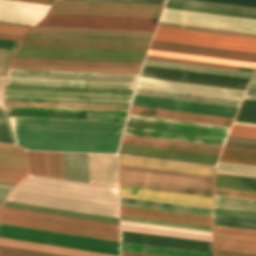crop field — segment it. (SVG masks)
Segmentation results:
<instances>
[{"label": "crop field", "mask_w": 256, "mask_h": 256, "mask_svg": "<svg viewBox=\"0 0 256 256\" xmlns=\"http://www.w3.org/2000/svg\"><path fill=\"white\" fill-rule=\"evenodd\" d=\"M5 105L67 107V108H92V109H116V110H128V108H129V107H117V106H92V105H67V104L17 103V102H5Z\"/></svg>", "instance_id": "50"}, {"label": "crop field", "mask_w": 256, "mask_h": 256, "mask_svg": "<svg viewBox=\"0 0 256 256\" xmlns=\"http://www.w3.org/2000/svg\"><path fill=\"white\" fill-rule=\"evenodd\" d=\"M151 38L27 33L22 41L148 46Z\"/></svg>", "instance_id": "16"}, {"label": "crop field", "mask_w": 256, "mask_h": 256, "mask_svg": "<svg viewBox=\"0 0 256 256\" xmlns=\"http://www.w3.org/2000/svg\"><path fill=\"white\" fill-rule=\"evenodd\" d=\"M120 204L212 216V209L120 197Z\"/></svg>", "instance_id": "35"}, {"label": "crop field", "mask_w": 256, "mask_h": 256, "mask_svg": "<svg viewBox=\"0 0 256 256\" xmlns=\"http://www.w3.org/2000/svg\"><path fill=\"white\" fill-rule=\"evenodd\" d=\"M0 165L28 169L25 150L16 145L0 143Z\"/></svg>", "instance_id": "40"}, {"label": "crop field", "mask_w": 256, "mask_h": 256, "mask_svg": "<svg viewBox=\"0 0 256 256\" xmlns=\"http://www.w3.org/2000/svg\"><path fill=\"white\" fill-rule=\"evenodd\" d=\"M0 245L38 250V251H44V252H51V253H58V254H64V255H71V256H116V255H110V254L96 253V252H90V251H83V250H77V249L50 246V245L4 239V238H0Z\"/></svg>", "instance_id": "34"}, {"label": "crop field", "mask_w": 256, "mask_h": 256, "mask_svg": "<svg viewBox=\"0 0 256 256\" xmlns=\"http://www.w3.org/2000/svg\"><path fill=\"white\" fill-rule=\"evenodd\" d=\"M121 142L149 145V146L166 147V148H174V149H182V150L199 151V152H207V153H215V154H219L220 150L222 148L219 146L203 145V144L165 140V139L127 135V134L123 135Z\"/></svg>", "instance_id": "31"}, {"label": "crop field", "mask_w": 256, "mask_h": 256, "mask_svg": "<svg viewBox=\"0 0 256 256\" xmlns=\"http://www.w3.org/2000/svg\"><path fill=\"white\" fill-rule=\"evenodd\" d=\"M218 161L256 165V151L224 147Z\"/></svg>", "instance_id": "44"}, {"label": "crop field", "mask_w": 256, "mask_h": 256, "mask_svg": "<svg viewBox=\"0 0 256 256\" xmlns=\"http://www.w3.org/2000/svg\"><path fill=\"white\" fill-rule=\"evenodd\" d=\"M89 183L117 187L116 155L88 153Z\"/></svg>", "instance_id": "27"}, {"label": "crop field", "mask_w": 256, "mask_h": 256, "mask_svg": "<svg viewBox=\"0 0 256 256\" xmlns=\"http://www.w3.org/2000/svg\"><path fill=\"white\" fill-rule=\"evenodd\" d=\"M45 176L63 179L62 152H44Z\"/></svg>", "instance_id": "48"}, {"label": "crop field", "mask_w": 256, "mask_h": 256, "mask_svg": "<svg viewBox=\"0 0 256 256\" xmlns=\"http://www.w3.org/2000/svg\"><path fill=\"white\" fill-rule=\"evenodd\" d=\"M246 94L256 95V84L251 83Z\"/></svg>", "instance_id": "75"}, {"label": "crop field", "mask_w": 256, "mask_h": 256, "mask_svg": "<svg viewBox=\"0 0 256 256\" xmlns=\"http://www.w3.org/2000/svg\"><path fill=\"white\" fill-rule=\"evenodd\" d=\"M147 54L158 55V56H166V57H174V58H182V59H189V60H197V61H205V62H213V63H220V64H228V65H236V66H244V67H252V68L256 67V63L245 62V61H237V60L211 58V57L186 55V54H178V53H169V52H161V51H153V50H149Z\"/></svg>", "instance_id": "43"}, {"label": "crop field", "mask_w": 256, "mask_h": 256, "mask_svg": "<svg viewBox=\"0 0 256 256\" xmlns=\"http://www.w3.org/2000/svg\"><path fill=\"white\" fill-rule=\"evenodd\" d=\"M229 128L129 114L124 133L222 146Z\"/></svg>", "instance_id": "3"}, {"label": "crop field", "mask_w": 256, "mask_h": 256, "mask_svg": "<svg viewBox=\"0 0 256 256\" xmlns=\"http://www.w3.org/2000/svg\"><path fill=\"white\" fill-rule=\"evenodd\" d=\"M213 225L256 230V221L214 216Z\"/></svg>", "instance_id": "49"}, {"label": "crop field", "mask_w": 256, "mask_h": 256, "mask_svg": "<svg viewBox=\"0 0 256 256\" xmlns=\"http://www.w3.org/2000/svg\"><path fill=\"white\" fill-rule=\"evenodd\" d=\"M119 185L212 196L213 177L119 165Z\"/></svg>", "instance_id": "6"}, {"label": "crop field", "mask_w": 256, "mask_h": 256, "mask_svg": "<svg viewBox=\"0 0 256 256\" xmlns=\"http://www.w3.org/2000/svg\"><path fill=\"white\" fill-rule=\"evenodd\" d=\"M0 237L119 255V242L0 224Z\"/></svg>", "instance_id": "8"}, {"label": "crop field", "mask_w": 256, "mask_h": 256, "mask_svg": "<svg viewBox=\"0 0 256 256\" xmlns=\"http://www.w3.org/2000/svg\"><path fill=\"white\" fill-rule=\"evenodd\" d=\"M30 29L31 28L29 27L0 24V33H5V34L24 36V34Z\"/></svg>", "instance_id": "63"}, {"label": "crop field", "mask_w": 256, "mask_h": 256, "mask_svg": "<svg viewBox=\"0 0 256 256\" xmlns=\"http://www.w3.org/2000/svg\"><path fill=\"white\" fill-rule=\"evenodd\" d=\"M216 168L256 173V166L218 162Z\"/></svg>", "instance_id": "62"}, {"label": "crop field", "mask_w": 256, "mask_h": 256, "mask_svg": "<svg viewBox=\"0 0 256 256\" xmlns=\"http://www.w3.org/2000/svg\"><path fill=\"white\" fill-rule=\"evenodd\" d=\"M119 153L211 164L219 155L121 143Z\"/></svg>", "instance_id": "17"}, {"label": "crop field", "mask_w": 256, "mask_h": 256, "mask_svg": "<svg viewBox=\"0 0 256 256\" xmlns=\"http://www.w3.org/2000/svg\"><path fill=\"white\" fill-rule=\"evenodd\" d=\"M145 61H147V62H155V63H163V64H171V65H179V66H186V67H194V68H202V69H210V70H217V71H225V72H233V73H241V74H249V75H252V74H250V73H242V72L218 70V69L203 68V67H195V66H187V65L172 64V63H164V62H156V61H148V60H145ZM147 62H144L143 64L251 78V76H249V75H241V74L217 72V71L202 70V69H194V68H186V67L171 66V65H163V64H155V63H147Z\"/></svg>", "instance_id": "53"}, {"label": "crop field", "mask_w": 256, "mask_h": 256, "mask_svg": "<svg viewBox=\"0 0 256 256\" xmlns=\"http://www.w3.org/2000/svg\"><path fill=\"white\" fill-rule=\"evenodd\" d=\"M146 51L19 45L13 57L142 63Z\"/></svg>", "instance_id": "7"}, {"label": "crop field", "mask_w": 256, "mask_h": 256, "mask_svg": "<svg viewBox=\"0 0 256 256\" xmlns=\"http://www.w3.org/2000/svg\"><path fill=\"white\" fill-rule=\"evenodd\" d=\"M235 120L256 123V101L244 99Z\"/></svg>", "instance_id": "51"}, {"label": "crop field", "mask_w": 256, "mask_h": 256, "mask_svg": "<svg viewBox=\"0 0 256 256\" xmlns=\"http://www.w3.org/2000/svg\"><path fill=\"white\" fill-rule=\"evenodd\" d=\"M245 98H247V99H255L256 100V96L246 95Z\"/></svg>", "instance_id": "77"}, {"label": "crop field", "mask_w": 256, "mask_h": 256, "mask_svg": "<svg viewBox=\"0 0 256 256\" xmlns=\"http://www.w3.org/2000/svg\"><path fill=\"white\" fill-rule=\"evenodd\" d=\"M214 194L256 199V193L215 188Z\"/></svg>", "instance_id": "61"}, {"label": "crop field", "mask_w": 256, "mask_h": 256, "mask_svg": "<svg viewBox=\"0 0 256 256\" xmlns=\"http://www.w3.org/2000/svg\"><path fill=\"white\" fill-rule=\"evenodd\" d=\"M224 146L256 150V139L229 136Z\"/></svg>", "instance_id": "56"}, {"label": "crop field", "mask_w": 256, "mask_h": 256, "mask_svg": "<svg viewBox=\"0 0 256 256\" xmlns=\"http://www.w3.org/2000/svg\"><path fill=\"white\" fill-rule=\"evenodd\" d=\"M0 256H64L25 249L0 246Z\"/></svg>", "instance_id": "55"}, {"label": "crop field", "mask_w": 256, "mask_h": 256, "mask_svg": "<svg viewBox=\"0 0 256 256\" xmlns=\"http://www.w3.org/2000/svg\"><path fill=\"white\" fill-rule=\"evenodd\" d=\"M14 51L0 49V74L5 75L7 63Z\"/></svg>", "instance_id": "65"}, {"label": "crop field", "mask_w": 256, "mask_h": 256, "mask_svg": "<svg viewBox=\"0 0 256 256\" xmlns=\"http://www.w3.org/2000/svg\"><path fill=\"white\" fill-rule=\"evenodd\" d=\"M149 49L256 62V53L155 40H152Z\"/></svg>", "instance_id": "23"}, {"label": "crop field", "mask_w": 256, "mask_h": 256, "mask_svg": "<svg viewBox=\"0 0 256 256\" xmlns=\"http://www.w3.org/2000/svg\"><path fill=\"white\" fill-rule=\"evenodd\" d=\"M120 219L211 231V228H207V227L182 225V224H174V223H165V222H157V221H149V220H140V219H132V218H124V217H120Z\"/></svg>", "instance_id": "64"}, {"label": "crop field", "mask_w": 256, "mask_h": 256, "mask_svg": "<svg viewBox=\"0 0 256 256\" xmlns=\"http://www.w3.org/2000/svg\"><path fill=\"white\" fill-rule=\"evenodd\" d=\"M131 105L199 113V114H207V115H215V116H223V117H231V118L235 117L238 109L235 107H227V106L167 99V98H160V97H152V96H145V95H137V94H134L133 102ZM129 113L180 119V120H187V121H195V122H203V123H211V124H219V125H227V126H230L233 121V119H230V118H222V117H214V116H206V115H198V114H190V113H182V112H174V111H166V110H158V109H150V108H142V107H134V106H131Z\"/></svg>", "instance_id": "5"}, {"label": "crop field", "mask_w": 256, "mask_h": 256, "mask_svg": "<svg viewBox=\"0 0 256 256\" xmlns=\"http://www.w3.org/2000/svg\"><path fill=\"white\" fill-rule=\"evenodd\" d=\"M162 6L56 0L49 13L158 18Z\"/></svg>", "instance_id": "10"}, {"label": "crop field", "mask_w": 256, "mask_h": 256, "mask_svg": "<svg viewBox=\"0 0 256 256\" xmlns=\"http://www.w3.org/2000/svg\"><path fill=\"white\" fill-rule=\"evenodd\" d=\"M120 196L212 208V197L119 186Z\"/></svg>", "instance_id": "21"}, {"label": "crop field", "mask_w": 256, "mask_h": 256, "mask_svg": "<svg viewBox=\"0 0 256 256\" xmlns=\"http://www.w3.org/2000/svg\"><path fill=\"white\" fill-rule=\"evenodd\" d=\"M215 187L256 192V179L215 174Z\"/></svg>", "instance_id": "41"}, {"label": "crop field", "mask_w": 256, "mask_h": 256, "mask_svg": "<svg viewBox=\"0 0 256 256\" xmlns=\"http://www.w3.org/2000/svg\"><path fill=\"white\" fill-rule=\"evenodd\" d=\"M29 174L44 176L43 152L27 151Z\"/></svg>", "instance_id": "54"}, {"label": "crop field", "mask_w": 256, "mask_h": 256, "mask_svg": "<svg viewBox=\"0 0 256 256\" xmlns=\"http://www.w3.org/2000/svg\"><path fill=\"white\" fill-rule=\"evenodd\" d=\"M159 21L256 33V19L165 8Z\"/></svg>", "instance_id": "14"}, {"label": "crop field", "mask_w": 256, "mask_h": 256, "mask_svg": "<svg viewBox=\"0 0 256 256\" xmlns=\"http://www.w3.org/2000/svg\"><path fill=\"white\" fill-rule=\"evenodd\" d=\"M50 6L11 0H0V22L34 26L41 21Z\"/></svg>", "instance_id": "18"}, {"label": "crop field", "mask_w": 256, "mask_h": 256, "mask_svg": "<svg viewBox=\"0 0 256 256\" xmlns=\"http://www.w3.org/2000/svg\"><path fill=\"white\" fill-rule=\"evenodd\" d=\"M214 207L256 212V200L214 195Z\"/></svg>", "instance_id": "46"}, {"label": "crop field", "mask_w": 256, "mask_h": 256, "mask_svg": "<svg viewBox=\"0 0 256 256\" xmlns=\"http://www.w3.org/2000/svg\"><path fill=\"white\" fill-rule=\"evenodd\" d=\"M153 39L256 52V39L158 27Z\"/></svg>", "instance_id": "12"}, {"label": "crop field", "mask_w": 256, "mask_h": 256, "mask_svg": "<svg viewBox=\"0 0 256 256\" xmlns=\"http://www.w3.org/2000/svg\"><path fill=\"white\" fill-rule=\"evenodd\" d=\"M214 248L256 253V231L213 226Z\"/></svg>", "instance_id": "24"}, {"label": "crop field", "mask_w": 256, "mask_h": 256, "mask_svg": "<svg viewBox=\"0 0 256 256\" xmlns=\"http://www.w3.org/2000/svg\"><path fill=\"white\" fill-rule=\"evenodd\" d=\"M5 78L0 77V108L5 109L3 105V88H4Z\"/></svg>", "instance_id": "71"}, {"label": "crop field", "mask_w": 256, "mask_h": 256, "mask_svg": "<svg viewBox=\"0 0 256 256\" xmlns=\"http://www.w3.org/2000/svg\"><path fill=\"white\" fill-rule=\"evenodd\" d=\"M26 149L116 153L120 136L110 134L12 130Z\"/></svg>", "instance_id": "4"}, {"label": "crop field", "mask_w": 256, "mask_h": 256, "mask_svg": "<svg viewBox=\"0 0 256 256\" xmlns=\"http://www.w3.org/2000/svg\"><path fill=\"white\" fill-rule=\"evenodd\" d=\"M64 179L88 183L87 153L63 152Z\"/></svg>", "instance_id": "33"}, {"label": "crop field", "mask_w": 256, "mask_h": 256, "mask_svg": "<svg viewBox=\"0 0 256 256\" xmlns=\"http://www.w3.org/2000/svg\"><path fill=\"white\" fill-rule=\"evenodd\" d=\"M4 206L118 224V219H115V218L90 215V214H84V213H78V212H71V211H65V210H59V209H53V208H46V207H40V206H34V205H27V204H21V203L9 202V201H6Z\"/></svg>", "instance_id": "39"}, {"label": "crop field", "mask_w": 256, "mask_h": 256, "mask_svg": "<svg viewBox=\"0 0 256 256\" xmlns=\"http://www.w3.org/2000/svg\"><path fill=\"white\" fill-rule=\"evenodd\" d=\"M134 93L182 99V100H190V101H197V102H205V103H212V104H220V105H227V106H235V107H238L241 102L237 100L188 95V94H180V93H172V92H164V91H156V90H148V89H140V88H136Z\"/></svg>", "instance_id": "37"}, {"label": "crop field", "mask_w": 256, "mask_h": 256, "mask_svg": "<svg viewBox=\"0 0 256 256\" xmlns=\"http://www.w3.org/2000/svg\"><path fill=\"white\" fill-rule=\"evenodd\" d=\"M0 142L14 144L6 111L2 109H0Z\"/></svg>", "instance_id": "57"}, {"label": "crop field", "mask_w": 256, "mask_h": 256, "mask_svg": "<svg viewBox=\"0 0 256 256\" xmlns=\"http://www.w3.org/2000/svg\"><path fill=\"white\" fill-rule=\"evenodd\" d=\"M158 19L48 14L37 26L153 31Z\"/></svg>", "instance_id": "11"}, {"label": "crop field", "mask_w": 256, "mask_h": 256, "mask_svg": "<svg viewBox=\"0 0 256 256\" xmlns=\"http://www.w3.org/2000/svg\"><path fill=\"white\" fill-rule=\"evenodd\" d=\"M9 117L124 122L128 111L6 106ZM9 118L12 129L121 134L124 123Z\"/></svg>", "instance_id": "2"}, {"label": "crop field", "mask_w": 256, "mask_h": 256, "mask_svg": "<svg viewBox=\"0 0 256 256\" xmlns=\"http://www.w3.org/2000/svg\"><path fill=\"white\" fill-rule=\"evenodd\" d=\"M214 215L256 220V213L214 208Z\"/></svg>", "instance_id": "58"}, {"label": "crop field", "mask_w": 256, "mask_h": 256, "mask_svg": "<svg viewBox=\"0 0 256 256\" xmlns=\"http://www.w3.org/2000/svg\"><path fill=\"white\" fill-rule=\"evenodd\" d=\"M118 160H119V164H122V165H130V166H138V167H146V168H154V169H162V170H170V171H178V172H186V173H194V174H202V175H210V176H213V171H214V167H210V166L170 162V161H163V160L123 156V155H118Z\"/></svg>", "instance_id": "28"}, {"label": "crop field", "mask_w": 256, "mask_h": 256, "mask_svg": "<svg viewBox=\"0 0 256 256\" xmlns=\"http://www.w3.org/2000/svg\"><path fill=\"white\" fill-rule=\"evenodd\" d=\"M251 82H255V83H256V71H255V73H254V76H253V79H252Z\"/></svg>", "instance_id": "78"}, {"label": "crop field", "mask_w": 256, "mask_h": 256, "mask_svg": "<svg viewBox=\"0 0 256 256\" xmlns=\"http://www.w3.org/2000/svg\"><path fill=\"white\" fill-rule=\"evenodd\" d=\"M88 1H110V2L153 3V4L164 3V0H88Z\"/></svg>", "instance_id": "68"}, {"label": "crop field", "mask_w": 256, "mask_h": 256, "mask_svg": "<svg viewBox=\"0 0 256 256\" xmlns=\"http://www.w3.org/2000/svg\"><path fill=\"white\" fill-rule=\"evenodd\" d=\"M205 1H213V2H221V3H229V4H237V5L256 7V0H205Z\"/></svg>", "instance_id": "66"}, {"label": "crop field", "mask_w": 256, "mask_h": 256, "mask_svg": "<svg viewBox=\"0 0 256 256\" xmlns=\"http://www.w3.org/2000/svg\"><path fill=\"white\" fill-rule=\"evenodd\" d=\"M5 101L92 104V105H117V106H129V104H130V102H118V101L67 100V99L17 98V97H5Z\"/></svg>", "instance_id": "45"}, {"label": "crop field", "mask_w": 256, "mask_h": 256, "mask_svg": "<svg viewBox=\"0 0 256 256\" xmlns=\"http://www.w3.org/2000/svg\"><path fill=\"white\" fill-rule=\"evenodd\" d=\"M17 44H18V42H16V41L0 39V48L15 50Z\"/></svg>", "instance_id": "70"}, {"label": "crop field", "mask_w": 256, "mask_h": 256, "mask_svg": "<svg viewBox=\"0 0 256 256\" xmlns=\"http://www.w3.org/2000/svg\"><path fill=\"white\" fill-rule=\"evenodd\" d=\"M145 59L253 73L255 69L147 55Z\"/></svg>", "instance_id": "47"}, {"label": "crop field", "mask_w": 256, "mask_h": 256, "mask_svg": "<svg viewBox=\"0 0 256 256\" xmlns=\"http://www.w3.org/2000/svg\"><path fill=\"white\" fill-rule=\"evenodd\" d=\"M120 216L211 227L212 217L120 205Z\"/></svg>", "instance_id": "20"}, {"label": "crop field", "mask_w": 256, "mask_h": 256, "mask_svg": "<svg viewBox=\"0 0 256 256\" xmlns=\"http://www.w3.org/2000/svg\"><path fill=\"white\" fill-rule=\"evenodd\" d=\"M28 173V170L0 166V181L17 183ZM0 182V206L3 205L6 195L15 184ZM19 183V182H18Z\"/></svg>", "instance_id": "42"}, {"label": "crop field", "mask_w": 256, "mask_h": 256, "mask_svg": "<svg viewBox=\"0 0 256 256\" xmlns=\"http://www.w3.org/2000/svg\"><path fill=\"white\" fill-rule=\"evenodd\" d=\"M214 256H256V254L214 249Z\"/></svg>", "instance_id": "67"}, {"label": "crop field", "mask_w": 256, "mask_h": 256, "mask_svg": "<svg viewBox=\"0 0 256 256\" xmlns=\"http://www.w3.org/2000/svg\"><path fill=\"white\" fill-rule=\"evenodd\" d=\"M216 173L256 178V174H253V173L236 172V171H228V170H220V169H216Z\"/></svg>", "instance_id": "69"}, {"label": "crop field", "mask_w": 256, "mask_h": 256, "mask_svg": "<svg viewBox=\"0 0 256 256\" xmlns=\"http://www.w3.org/2000/svg\"><path fill=\"white\" fill-rule=\"evenodd\" d=\"M4 216L118 233V225L4 207Z\"/></svg>", "instance_id": "22"}, {"label": "crop field", "mask_w": 256, "mask_h": 256, "mask_svg": "<svg viewBox=\"0 0 256 256\" xmlns=\"http://www.w3.org/2000/svg\"><path fill=\"white\" fill-rule=\"evenodd\" d=\"M0 38H1V39H9V40L20 41V39H21L22 37H20V36H12V35L0 34Z\"/></svg>", "instance_id": "73"}, {"label": "crop field", "mask_w": 256, "mask_h": 256, "mask_svg": "<svg viewBox=\"0 0 256 256\" xmlns=\"http://www.w3.org/2000/svg\"><path fill=\"white\" fill-rule=\"evenodd\" d=\"M234 123H239V124H247V125H255V123H247V122H239V121H235Z\"/></svg>", "instance_id": "76"}, {"label": "crop field", "mask_w": 256, "mask_h": 256, "mask_svg": "<svg viewBox=\"0 0 256 256\" xmlns=\"http://www.w3.org/2000/svg\"><path fill=\"white\" fill-rule=\"evenodd\" d=\"M0 223L119 241L118 234H115V233L82 229V228H76V227L30 221V220H23V219L10 218V217H4V216L0 217Z\"/></svg>", "instance_id": "29"}, {"label": "crop field", "mask_w": 256, "mask_h": 256, "mask_svg": "<svg viewBox=\"0 0 256 256\" xmlns=\"http://www.w3.org/2000/svg\"><path fill=\"white\" fill-rule=\"evenodd\" d=\"M29 32L151 37L153 32L35 27Z\"/></svg>", "instance_id": "36"}, {"label": "crop field", "mask_w": 256, "mask_h": 256, "mask_svg": "<svg viewBox=\"0 0 256 256\" xmlns=\"http://www.w3.org/2000/svg\"><path fill=\"white\" fill-rule=\"evenodd\" d=\"M121 241L212 253V243L121 231Z\"/></svg>", "instance_id": "25"}, {"label": "crop field", "mask_w": 256, "mask_h": 256, "mask_svg": "<svg viewBox=\"0 0 256 256\" xmlns=\"http://www.w3.org/2000/svg\"><path fill=\"white\" fill-rule=\"evenodd\" d=\"M121 230L212 242L211 232L120 220Z\"/></svg>", "instance_id": "26"}, {"label": "crop field", "mask_w": 256, "mask_h": 256, "mask_svg": "<svg viewBox=\"0 0 256 256\" xmlns=\"http://www.w3.org/2000/svg\"><path fill=\"white\" fill-rule=\"evenodd\" d=\"M165 5L256 16V8L196 1V0H167ZM165 7H168V6H165ZM168 8H176V7H168ZM176 9H184V8H176ZM184 10H192V9H184ZM192 11H200V10H192ZM200 12H208V11H200ZM208 13H216V12H208ZM216 14H224V13H216ZM224 15H232V14H224ZM232 16H240V15H232ZM240 17H248V16H240ZM248 18H256V17H248Z\"/></svg>", "instance_id": "30"}, {"label": "crop field", "mask_w": 256, "mask_h": 256, "mask_svg": "<svg viewBox=\"0 0 256 256\" xmlns=\"http://www.w3.org/2000/svg\"><path fill=\"white\" fill-rule=\"evenodd\" d=\"M18 1H26V2H33V3H40V4H48L51 5L53 1L51 0H18Z\"/></svg>", "instance_id": "72"}, {"label": "crop field", "mask_w": 256, "mask_h": 256, "mask_svg": "<svg viewBox=\"0 0 256 256\" xmlns=\"http://www.w3.org/2000/svg\"><path fill=\"white\" fill-rule=\"evenodd\" d=\"M158 26L170 27V28H179V29H187V30H196V31H204V32L221 33V34H229V35H238V36H246V37H255L256 38V34L226 31V30H218V29H210V28H202V27H194V26H186V25H178V24H170V23H162V22H159Z\"/></svg>", "instance_id": "52"}, {"label": "crop field", "mask_w": 256, "mask_h": 256, "mask_svg": "<svg viewBox=\"0 0 256 256\" xmlns=\"http://www.w3.org/2000/svg\"><path fill=\"white\" fill-rule=\"evenodd\" d=\"M21 44H32V45H58V46H84V47H109V48H135V49H147V48H148V47H136V46H110V45L34 43V42H21Z\"/></svg>", "instance_id": "60"}, {"label": "crop field", "mask_w": 256, "mask_h": 256, "mask_svg": "<svg viewBox=\"0 0 256 256\" xmlns=\"http://www.w3.org/2000/svg\"><path fill=\"white\" fill-rule=\"evenodd\" d=\"M0 210H1V207H0Z\"/></svg>", "instance_id": "79"}, {"label": "crop field", "mask_w": 256, "mask_h": 256, "mask_svg": "<svg viewBox=\"0 0 256 256\" xmlns=\"http://www.w3.org/2000/svg\"><path fill=\"white\" fill-rule=\"evenodd\" d=\"M140 88L189 93L229 99L241 100L245 91L219 87L203 86L181 82L165 81L150 78H138L137 86Z\"/></svg>", "instance_id": "15"}, {"label": "crop field", "mask_w": 256, "mask_h": 256, "mask_svg": "<svg viewBox=\"0 0 256 256\" xmlns=\"http://www.w3.org/2000/svg\"><path fill=\"white\" fill-rule=\"evenodd\" d=\"M141 64L12 58L8 68L137 74Z\"/></svg>", "instance_id": "13"}, {"label": "crop field", "mask_w": 256, "mask_h": 256, "mask_svg": "<svg viewBox=\"0 0 256 256\" xmlns=\"http://www.w3.org/2000/svg\"><path fill=\"white\" fill-rule=\"evenodd\" d=\"M132 91L6 84L5 96L130 101Z\"/></svg>", "instance_id": "9"}, {"label": "crop field", "mask_w": 256, "mask_h": 256, "mask_svg": "<svg viewBox=\"0 0 256 256\" xmlns=\"http://www.w3.org/2000/svg\"><path fill=\"white\" fill-rule=\"evenodd\" d=\"M137 75L8 69L7 77L135 82Z\"/></svg>", "instance_id": "19"}, {"label": "crop field", "mask_w": 256, "mask_h": 256, "mask_svg": "<svg viewBox=\"0 0 256 256\" xmlns=\"http://www.w3.org/2000/svg\"><path fill=\"white\" fill-rule=\"evenodd\" d=\"M121 256H155V255H147V254H140V253H132V252L121 251Z\"/></svg>", "instance_id": "74"}, {"label": "crop field", "mask_w": 256, "mask_h": 256, "mask_svg": "<svg viewBox=\"0 0 256 256\" xmlns=\"http://www.w3.org/2000/svg\"><path fill=\"white\" fill-rule=\"evenodd\" d=\"M6 200L118 218L117 189L102 186L28 175Z\"/></svg>", "instance_id": "1"}, {"label": "crop field", "mask_w": 256, "mask_h": 256, "mask_svg": "<svg viewBox=\"0 0 256 256\" xmlns=\"http://www.w3.org/2000/svg\"><path fill=\"white\" fill-rule=\"evenodd\" d=\"M121 250L163 256H212V254L209 253L193 252L124 242H121Z\"/></svg>", "instance_id": "38"}, {"label": "crop field", "mask_w": 256, "mask_h": 256, "mask_svg": "<svg viewBox=\"0 0 256 256\" xmlns=\"http://www.w3.org/2000/svg\"><path fill=\"white\" fill-rule=\"evenodd\" d=\"M229 135L256 138V127L233 124Z\"/></svg>", "instance_id": "59"}, {"label": "crop field", "mask_w": 256, "mask_h": 256, "mask_svg": "<svg viewBox=\"0 0 256 256\" xmlns=\"http://www.w3.org/2000/svg\"><path fill=\"white\" fill-rule=\"evenodd\" d=\"M6 83L123 88V89H133L135 84V83H123V82H97V81L45 80V79H19V78H7Z\"/></svg>", "instance_id": "32"}]
</instances>
